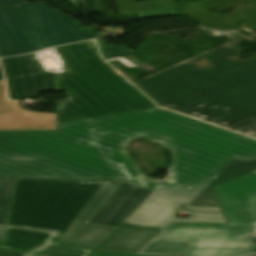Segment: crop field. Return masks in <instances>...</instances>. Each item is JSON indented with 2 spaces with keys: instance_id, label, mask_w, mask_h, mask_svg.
Segmentation results:
<instances>
[{
  "instance_id": "28ad6ade",
  "label": "crop field",
  "mask_w": 256,
  "mask_h": 256,
  "mask_svg": "<svg viewBox=\"0 0 256 256\" xmlns=\"http://www.w3.org/2000/svg\"><path fill=\"white\" fill-rule=\"evenodd\" d=\"M20 102H8L4 81L0 82V130L55 129L56 114L25 111Z\"/></svg>"
},
{
  "instance_id": "f4fd0767",
  "label": "crop field",
  "mask_w": 256,
  "mask_h": 256,
  "mask_svg": "<svg viewBox=\"0 0 256 256\" xmlns=\"http://www.w3.org/2000/svg\"><path fill=\"white\" fill-rule=\"evenodd\" d=\"M102 183L18 179L9 225L52 232L57 243Z\"/></svg>"
},
{
  "instance_id": "5a996713",
  "label": "crop field",
  "mask_w": 256,
  "mask_h": 256,
  "mask_svg": "<svg viewBox=\"0 0 256 256\" xmlns=\"http://www.w3.org/2000/svg\"><path fill=\"white\" fill-rule=\"evenodd\" d=\"M153 192L123 182L90 223L118 228Z\"/></svg>"
},
{
  "instance_id": "dd49c442",
  "label": "crop field",
  "mask_w": 256,
  "mask_h": 256,
  "mask_svg": "<svg viewBox=\"0 0 256 256\" xmlns=\"http://www.w3.org/2000/svg\"><path fill=\"white\" fill-rule=\"evenodd\" d=\"M145 139L165 147L172 160L168 181L155 182L147 177L135 159L125 149L133 140ZM104 154L113 163L121 181L154 191L189 187L206 177H215L221 167L182 150L161 138L150 135L127 136L98 141Z\"/></svg>"
},
{
  "instance_id": "412701ff",
  "label": "crop field",
  "mask_w": 256,
  "mask_h": 256,
  "mask_svg": "<svg viewBox=\"0 0 256 256\" xmlns=\"http://www.w3.org/2000/svg\"><path fill=\"white\" fill-rule=\"evenodd\" d=\"M229 226L173 224L157 238L192 242L184 256H243L255 252L256 173L215 188Z\"/></svg>"
},
{
  "instance_id": "ac0d7876",
  "label": "crop field",
  "mask_w": 256,
  "mask_h": 256,
  "mask_svg": "<svg viewBox=\"0 0 256 256\" xmlns=\"http://www.w3.org/2000/svg\"><path fill=\"white\" fill-rule=\"evenodd\" d=\"M236 53L228 44L135 86L164 108L256 138V58L206 68Z\"/></svg>"
},
{
  "instance_id": "733c2abd",
  "label": "crop field",
  "mask_w": 256,
  "mask_h": 256,
  "mask_svg": "<svg viewBox=\"0 0 256 256\" xmlns=\"http://www.w3.org/2000/svg\"><path fill=\"white\" fill-rule=\"evenodd\" d=\"M120 184L121 182L105 181L76 221L89 223V221L98 212L105 201L116 191Z\"/></svg>"
},
{
  "instance_id": "3316defc",
  "label": "crop field",
  "mask_w": 256,
  "mask_h": 256,
  "mask_svg": "<svg viewBox=\"0 0 256 256\" xmlns=\"http://www.w3.org/2000/svg\"><path fill=\"white\" fill-rule=\"evenodd\" d=\"M40 46L32 21L17 5L0 7V50Z\"/></svg>"
},
{
  "instance_id": "22f410ed",
  "label": "crop field",
  "mask_w": 256,
  "mask_h": 256,
  "mask_svg": "<svg viewBox=\"0 0 256 256\" xmlns=\"http://www.w3.org/2000/svg\"><path fill=\"white\" fill-rule=\"evenodd\" d=\"M253 171H256V160L243 161L233 159L220 170L218 177L189 205L219 207L212 187Z\"/></svg>"
},
{
  "instance_id": "92a150f3",
  "label": "crop field",
  "mask_w": 256,
  "mask_h": 256,
  "mask_svg": "<svg viewBox=\"0 0 256 256\" xmlns=\"http://www.w3.org/2000/svg\"><path fill=\"white\" fill-rule=\"evenodd\" d=\"M36 253H44L59 256H89L92 252L72 249L64 246L47 244L36 251Z\"/></svg>"
},
{
  "instance_id": "34b2d1b8",
  "label": "crop field",
  "mask_w": 256,
  "mask_h": 256,
  "mask_svg": "<svg viewBox=\"0 0 256 256\" xmlns=\"http://www.w3.org/2000/svg\"><path fill=\"white\" fill-rule=\"evenodd\" d=\"M69 72L43 73L35 54L3 59L10 99L36 98L37 92L67 90L68 99L58 101V123L155 108L145 96L108 66L94 42L55 48ZM6 77V78H7Z\"/></svg>"
},
{
  "instance_id": "4a817a6b",
  "label": "crop field",
  "mask_w": 256,
  "mask_h": 256,
  "mask_svg": "<svg viewBox=\"0 0 256 256\" xmlns=\"http://www.w3.org/2000/svg\"><path fill=\"white\" fill-rule=\"evenodd\" d=\"M188 218H177L174 222L226 224L220 208L188 206Z\"/></svg>"
},
{
  "instance_id": "bc2a9ffb",
  "label": "crop field",
  "mask_w": 256,
  "mask_h": 256,
  "mask_svg": "<svg viewBox=\"0 0 256 256\" xmlns=\"http://www.w3.org/2000/svg\"><path fill=\"white\" fill-rule=\"evenodd\" d=\"M190 243L154 240L142 253L184 255Z\"/></svg>"
},
{
  "instance_id": "d8731c3e",
  "label": "crop field",
  "mask_w": 256,
  "mask_h": 256,
  "mask_svg": "<svg viewBox=\"0 0 256 256\" xmlns=\"http://www.w3.org/2000/svg\"><path fill=\"white\" fill-rule=\"evenodd\" d=\"M213 179L206 178L189 188L154 192L125 223L165 228L178 215L173 212L186 207Z\"/></svg>"
},
{
  "instance_id": "eef30255",
  "label": "crop field",
  "mask_w": 256,
  "mask_h": 256,
  "mask_svg": "<svg viewBox=\"0 0 256 256\" xmlns=\"http://www.w3.org/2000/svg\"><path fill=\"white\" fill-rule=\"evenodd\" d=\"M30 256H46V255H37V254H32Z\"/></svg>"
},
{
  "instance_id": "e52e79f7",
  "label": "crop field",
  "mask_w": 256,
  "mask_h": 256,
  "mask_svg": "<svg viewBox=\"0 0 256 256\" xmlns=\"http://www.w3.org/2000/svg\"><path fill=\"white\" fill-rule=\"evenodd\" d=\"M19 7L25 17L33 21L41 47L1 51L0 57L26 54L51 46L98 38L94 31L80 34L75 27L78 21L43 3L22 4Z\"/></svg>"
},
{
  "instance_id": "a9b5d70f",
  "label": "crop field",
  "mask_w": 256,
  "mask_h": 256,
  "mask_svg": "<svg viewBox=\"0 0 256 256\" xmlns=\"http://www.w3.org/2000/svg\"><path fill=\"white\" fill-rule=\"evenodd\" d=\"M27 253L0 250V256H26Z\"/></svg>"
},
{
  "instance_id": "00972430",
  "label": "crop field",
  "mask_w": 256,
  "mask_h": 256,
  "mask_svg": "<svg viewBox=\"0 0 256 256\" xmlns=\"http://www.w3.org/2000/svg\"><path fill=\"white\" fill-rule=\"evenodd\" d=\"M91 256H148V255L120 254V253H110V252H94Z\"/></svg>"
},
{
  "instance_id": "8a807250",
  "label": "crop field",
  "mask_w": 256,
  "mask_h": 256,
  "mask_svg": "<svg viewBox=\"0 0 256 256\" xmlns=\"http://www.w3.org/2000/svg\"><path fill=\"white\" fill-rule=\"evenodd\" d=\"M87 122L96 140L150 134L221 167L233 158H256V140L162 109ZM0 176L119 180L85 121L57 131L0 132Z\"/></svg>"
},
{
  "instance_id": "ae1a2a85",
  "label": "crop field",
  "mask_w": 256,
  "mask_h": 256,
  "mask_svg": "<svg viewBox=\"0 0 256 256\" xmlns=\"http://www.w3.org/2000/svg\"><path fill=\"white\" fill-rule=\"evenodd\" d=\"M1 79H3V78H2V74H1V70H0V80H1Z\"/></svg>"
},
{
  "instance_id": "214f88e0",
  "label": "crop field",
  "mask_w": 256,
  "mask_h": 256,
  "mask_svg": "<svg viewBox=\"0 0 256 256\" xmlns=\"http://www.w3.org/2000/svg\"><path fill=\"white\" fill-rule=\"evenodd\" d=\"M15 179L0 178V223L6 224Z\"/></svg>"
},
{
  "instance_id": "730fd06b",
  "label": "crop field",
  "mask_w": 256,
  "mask_h": 256,
  "mask_svg": "<svg viewBox=\"0 0 256 256\" xmlns=\"http://www.w3.org/2000/svg\"><path fill=\"white\" fill-rule=\"evenodd\" d=\"M4 229H5L4 226H0V246H1L2 238H3Z\"/></svg>"
},
{
  "instance_id": "d1516ede",
  "label": "crop field",
  "mask_w": 256,
  "mask_h": 256,
  "mask_svg": "<svg viewBox=\"0 0 256 256\" xmlns=\"http://www.w3.org/2000/svg\"><path fill=\"white\" fill-rule=\"evenodd\" d=\"M162 231L123 224L98 250L138 253Z\"/></svg>"
},
{
  "instance_id": "d9b57169",
  "label": "crop field",
  "mask_w": 256,
  "mask_h": 256,
  "mask_svg": "<svg viewBox=\"0 0 256 256\" xmlns=\"http://www.w3.org/2000/svg\"><path fill=\"white\" fill-rule=\"evenodd\" d=\"M50 235L48 233L29 232L8 227L4 248L31 252L45 243Z\"/></svg>"
},
{
  "instance_id": "dafd665d",
  "label": "crop field",
  "mask_w": 256,
  "mask_h": 256,
  "mask_svg": "<svg viewBox=\"0 0 256 256\" xmlns=\"http://www.w3.org/2000/svg\"><path fill=\"white\" fill-rule=\"evenodd\" d=\"M96 42L105 59L132 52L126 46L116 48L112 44L101 46L98 40Z\"/></svg>"
},
{
  "instance_id": "cbeb9de0",
  "label": "crop field",
  "mask_w": 256,
  "mask_h": 256,
  "mask_svg": "<svg viewBox=\"0 0 256 256\" xmlns=\"http://www.w3.org/2000/svg\"><path fill=\"white\" fill-rule=\"evenodd\" d=\"M115 230L100 225L74 223L59 244L95 250Z\"/></svg>"
},
{
  "instance_id": "5142ce71",
  "label": "crop field",
  "mask_w": 256,
  "mask_h": 256,
  "mask_svg": "<svg viewBox=\"0 0 256 256\" xmlns=\"http://www.w3.org/2000/svg\"><path fill=\"white\" fill-rule=\"evenodd\" d=\"M121 15L139 14L138 19L175 15L174 0H116Z\"/></svg>"
},
{
  "instance_id": "4177f3b9",
  "label": "crop field",
  "mask_w": 256,
  "mask_h": 256,
  "mask_svg": "<svg viewBox=\"0 0 256 256\" xmlns=\"http://www.w3.org/2000/svg\"><path fill=\"white\" fill-rule=\"evenodd\" d=\"M26 3L25 0H0V6L12 5V4H22Z\"/></svg>"
}]
</instances>
